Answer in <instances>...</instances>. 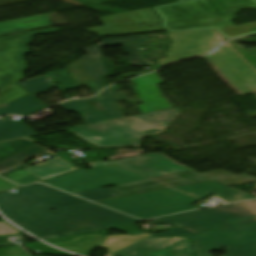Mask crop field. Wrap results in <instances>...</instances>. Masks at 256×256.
<instances>
[{
	"mask_svg": "<svg viewBox=\"0 0 256 256\" xmlns=\"http://www.w3.org/2000/svg\"><path fill=\"white\" fill-rule=\"evenodd\" d=\"M0 210L12 222L43 240L109 229L141 221L41 184L0 194Z\"/></svg>",
	"mask_w": 256,
	"mask_h": 256,
	"instance_id": "1",
	"label": "crop field"
},
{
	"mask_svg": "<svg viewBox=\"0 0 256 256\" xmlns=\"http://www.w3.org/2000/svg\"><path fill=\"white\" fill-rule=\"evenodd\" d=\"M177 229L155 234L192 239L196 256H211L212 248L227 247L226 256H256V201L198 210L153 220Z\"/></svg>",
	"mask_w": 256,
	"mask_h": 256,
	"instance_id": "2",
	"label": "crop field"
},
{
	"mask_svg": "<svg viewBox=\"0 0 256 256\" xmlns=\"http://www.w3.org/2000/svg\"><path fill=\"white\" fill-rule=\"evenodd\" d=\"M213 193L233 201L256 198L232 187L211 181L98 203L137 218H152L196 209L190 204Z\"/></svg>",
	"mask_w": 256,
	"mask_h": 256,
	"instance_id": "3",
	"label": "crop field"
},
{
	"mask_svg": "<svg viewBox=\"0 0 256 256\" xmlns=\"http://www.w3.org/2000/svg\"><path fill=\"white\" fill-rule=\"evenodd\" d=\"M180 113L179 109L155 111L70 130L99 147L140 145L144 137L163 132Z\"/></svg>",
	"mask_w": 256,
	"mask_h": 256,
	"instance_id": "4",
	"label": "crop field"
},
{
	"mask_svg": "<svg viewBox=\"0 0 256 256\" xmlns=\"http://www.w3.org/2000/svg\"><path fill=\"white\" fill-rule=\"evenodd\" d=\"M142 179L148 178L111 166L90 171L82 168L43 183L75 193Z\"/></svg>",
	"mask_w": 256,
	"mask_h": 256,
	"instance_id": "5",
	"label": "crop field"
},
{
	"mask_svg": "<svg viewBox=\"0 0 256 256\" xmlns=\"http://www.w3.org/2000/svg\"><path fill=\"white\" fill-rule=\"evenodd\" d=\"M168 35L174 44L169 49V58L159 61L162 67L178 60L206 54L224 42L223 37L215 29L168 33ZM133 65L150 64L147 62Z\"/></svg>",
	"mask_w": 256,
	"mask_h": 256,
	"instance_id": "6",
	"label": "crop field"
},
{
	"mask_svg": "<svg viewBox=\"0 0 256 256\" xmlns=\"http://www.w3.org/2000/svg\"><path fill=\"white\" fill-rule=\"evenodd\" d=\"M207 57L242 94L256 91V70L228 42Z\"/></svg>",
	"mask_w": 256,
	"mask_h": 256,
	"instance_id": "7",
	"label": "crop field"
},
{
	"mask_svg": "<svg viewBox=\"0 0 256 256\" xmlns=\"http://www.w3.org/2000/svg\"><path fill=\"white\" fill-rule=\"evenodd\" d=\"M146 41L147 39L145 36L102 39L103 45H92L81 50L89 54L81 58V61L86 69L87 75H93L97 92H99L102 88L101 82L99 81L100 78L109 73L101 46L122 44L124 54L129 56L130 63H138L145 61L142 59V54L137 46V43Z\"/></svg>",
	"mask_w": 256,
	"mask_h": 256,
	"instance_id": "8",
	"label": "crop field"
},
{
	"mask_svg": "<svg viewBox=\"0 0 256 256\" xmlns=\"http://www.w3.org/2000/svg\"><path fill=\"white\" fill-rule=\"evenodd\" d=\"M88 165L92 169L115 165L149 178L191 170L160 154H150L112 162H95Z\"/></svg>",
	"mask_w": 256,
	"mask_h": 256,
	"instance_id": "9",
	"label": "crop field"
},
{
	"mask_svg": "<svg viewBox=\"0 0 256 256\" xmlns=\"http://www.w3.org/2000/svg\"><path fill=\"white\" fill-rule=\"evenodd\" d=\"M190 240L186 237L149 236L116 254L120 256H190Z\"/></svg>",
	"mask_w": 256,
	"mask_h": 256,
	"instance_id": "10",
	"label": "crop field"
},
{
	"mask_svg": "<svg viewBox=\"0 0 256 256\" xmlns=\"http://www.w3.org/2000/svg\"><path fill=\"white\" fill-rule=\"evenodd\" d=\"M135 80L140 98L144 103V105L139 106L143 114L173 107L160 96L155 84L161 83V81L155 73L136 78Z\"/></svg>",
	"mask_w": 256,
	"mask_h": 256,
	"instance_id": "11",
	"label": "crop field"
},
{
	"mask_svg": "<svg viewBox=\"0 0 256 256\" xmlns=\"http://www.w3.org/2000/svg\"><path fill=\"white\" fill-rule=\"evenodd\" d=\"M121 90L120 87H113L102 93L97 99L103 106L105 111L86 114L87 123H95L123 117L121 112H116L115 109L121 108L117 102L126 101L127 103L142 102L140 98L129 99L125 94L120 95L116 91Z\"/></svg>",
	"mask_w": 256,
	"mask_h": 256,
	"instance_id": "12",
	"label": "crop field"
},
{
	"mask_svg": "<svg viewBox=\"0 0 256 256\" xmlns=\"http://www.w3.org/2000/svg\"><path fill=\"white\" fill-rule=\"evenodd\" d=\"M74 169L77 168L58 156L54 159L47 160L41 164L34 165L25 170L33 173L42 180H45L72 171Z\"/></svg>",
	"mask_w": 256,
	"mask_h": 256,
	"instance_id": "13",
	"label": "crop field"
},
{
	"mask_svg": "<svg viewBox=\"0 0 256 256\" xmlns=\"http://www.w3.org/2000/svg\"><path fill=\"white\" fill-rule=\"evenodd\" d=\"M49 14L0 23V35L49 26Z\"/></svg>",
	"mask_w": 256,
	"mask_h": 256,
	"instance_id": "14",
	"label": "crop field"
},
{
	"mask_svg": "<svg viewBox=\"0 0 256 256\" xmlns=\"http://www.w3.org/2000/svg\"><path fill=\"white\" fill-rule=\"evenodd\" d=\"M44 108L46 106L29 94L8 104L1 105L0 116L5 114L28 115Z\"/></svg>",
	"mask_w": 256,
	"mask_h": 256,
	"instance_id": "15",
	"label": "crop field"
},
{
	"mask_svg": "<svg viewBox=\"0 0 256 256\" xmlns=\"http://www.w3.org/2000/svg\"><path fill=\"white\" fill-rule=\"evenodd\" d=\"M105 237L102 235H80L73 240L54 242L53 244L86 256L88 252L100 245Z\"/></svg>",
	"mask_w": 256,
	"mask_h": 256,
	"instance_id": "16",
	"label": "crop field"
},
{
	"mask_svg": "<svg viewBox=\"0 0 256 256\" xmlns=\"http://www.w3.org/2000/svg\"><path fill=\"white\" fill-rule=\"evenodd\" d=\"M42 153L47 154L52 158L57 156L56 154L48 151V149L34 144L5 160L3 159L4 161L0 162V172L6 171L19 164H22Z\"/></svg>",
	"mask_w": 256,
	"mask_h": 256,
	"instance_id": "17",
	"label": "crop field"
},
{
	"mask_svg": "<svg viewBox=\"0 0 256 256\" xmlns=\"http://www.w3.org/2000/svg\"><path fill=\"white\" fill-rule=\"evenodd\" d=\"M0 120V142L34 135L21 121H12V117Z\"/></svg>",
	"mask_w": 256,
	"mask_h": 256,
	"instance_id": "18",
	"label": "crop field"
},
{
	"mask_svg": "<svg viewBox=\"0 0 256 256\" xmlns=\"http://www.w3.org/2000/svg\"><path fill=\"white\" fill-rule=\"evenodd\" d=\"M147 236H149V234H144L136 237L110 236V237H107L99 247L107 249L109 253L112 254Z\"/></svg>",
	"mask_w": 256,
	"mask_h": 256,
	"instance_id": "19",
	"label": "crop field"
},
{
	"mask_svg": "<svg viewBox=\"0 0 256 256\" xmlns=\"http://www.w3.org/2000/svg\"><path fill=\"white\" fill-rule=\"evenodd\" d=\"M49 77L44 76L42 78H36L33 80H28L20 84L24 89L30 92L32 95H39L54 86L48 83Z\"/></svg>",
	"mask_w": 256,
	"mask_h": 256,
	"instance_id": "20",
	"label": "crop field"
},
{
	"mask_svg": "<svg viewBox=\"0 0 256 256\" xmlns=\"http://www.w3.org/2000/svg\"><path fill=\"white\" fill-rule=\"evenodd\" d=\"M75 194L80 197L87 198L93 202L120 196L113 188H104V189L75 193Z\"/></svg>",
	"mask_w": 256,
	"mask_h": 256,
	"instance_id": "21",
	"label": "crop field"
},
{
	"mask_svg": "<svg viewBox=\"0 0 256 256\" xmlns=\"http://www.w3.org/2000/svg\"><path fill=\"white\" fill-rule=\"evenodd\" d=\"M33 143L27 139H19L7 143L0 144V157L3 158L29 144Z\"/></svg>",
	"mask_w": 256,
	"mask_h": 256,
	"instance_id": "22",
	"label": "crop field"
},
{
	"mask_svg": "<svg viewBox=\"0 0 256 256\" xmlns=\"http://www.w3.org/2000/svg\"><path fill=\"white\" fill-rule=\"evenodd\" d=\"M95 101L94 99H87V100H77V101H70L63 105H61L63 108L66 109V111L69 112H78L80 114L85 112L94 111L92 108H90L86 103Z\"/></svg>",
	"mask_w": 256,
	"mask_h": 256,
	"instance_id": "23",
	"label": "crop field"
},
{
	"mask_svg": "<svg viewBox=\"0 0 256 256\" xmlns=\"http://www.w3.org/2000/svg\"><path fill=\"white\" fill-rule=\"evenodd\" d=\"M33 249L35 251H38L39 254H43V255H56V256H73V255H69V254H66L60 250H57V249H53L47 245H43V244H40V243H31L30 244Z\"/></svg>",
	"mask_w": 256,
	"mask_h": 256,
	"instance_id": "24",
	"label": "crop field"
},
{
	"mask_svg": "<svg viewBox=\"0 0 256 256\" xmlns=\"http://www.w3.org/2000/svg\"><path fill=\"white\" fill-rule=\"evenodd\" d=\"M111 228L132 236L144 233L135 223L115 226Z\"/></svg>",
	"mask_w": 256,
	"mask_h": 256,
	"instance_id": "25",
	"label": "crop field"
},
{
	"mask_svg": "<svg viewBox=\"0 0 256 256\" xmlns=\"http://www.w3.org/2000/svg\"><path fill=\"white\" fill-rule=\"evenodd\" d=\"M6 255H26V252H24L17 246L0 248V256Z\"/></svg>",
	"mask_w": 256,
	"mask_h": 256,
	"instance_id": "26",
	"label": "crop field"
},
{
	"mask_svg": "<svg viewBox=\"0 0 256 256\" xmlns=\"http://www.w3.org/2000/svg\"><path fill=\"white\" fill-rule=\"evenodd\" d=\"M22 233L13 227L9 226L5 222H0V235L18 234Z\"/></svg>",
	"mask_w": 256,
	"mask_h": 256,
	"instance_id": "27",
	"label": "crop field"
},
{
	"mask_svg": "<svg viewBox=\"0 0 256 256\" xmlns=\"http://www.w3.org/2000/svg\"><path fill=\"white\" fill-rule=\"evenodd\" d=\"M17 187H19V186L0 178V191L1 190H11V189H15Z\"/></svg>",
	"mask_w": 256,
	"mask_h": 256,
	"instance_id": "28",
	"label": "crop field"
},
{
	"mask_svg": "<svg viewBox=\"0 0 256 256\" xmlns=\"http://www.w3.org/2000/svg\"><path fill=\"white\" fill-rule=\"evenodd\" d=\"M28 174H30V173H28L25 170H21V171H18L16 173H13V174H10L8 176H5V177L10 179V180H12V181H15V180L20 179V178H22V177H24V176H26Z\"/></svg>",
	"mask_w": 256,
	"mask_h": 256,
	"instance_id": "29",
	"label": "crop field"
},
{
	"mask_svg": "<svg viewBox=\"0 0 256 256\" xmlns=\"http://www.w3.org/2000/svg\"><path fill=\"white\" fill-rule=\"evenodd\" d=\"M37 180H40V179L31 174V175H29L25 178H22L20 180L15 181V182H17L21 185H24V184H27V183H30V182H33V181H37Z\"/></svg>",
	"mask_w": 256,
	"mask_h": 256,
	"instance_id": "30",
	"label": "crop field"
},
{
	"mask_svg": "<svg viewBox=\"0 0 256 256\" xmlns=\"http://www.w3.org/2000/svg\"><path fill=\"white\" fill-rule=\"evenodd\" d=\"M28 166H30V165L24 164V165H22V166H20V167H17V168H15V169L9 170V171H7V172H5V173H3V174H0V175L5 176V175H8V174H10V173L16 172V171H18V170L24 169V168H26V167H28Z\"/></svg>",
	"mask_w": 256,
	"mask_h": 256,
	"instance_id": "31",
	"label": "crop field"
},
{
	"mask_svg": "<svg viewBox=\"0 0 256 256\" xmlns=\"http://www.w3.org/2000/svg\"><path fill=\"white\" fill-rule=\"evenodd\" d=\"M78 236V235H77ZM76 236H71V237H65V238H60V239H54V240H47V242H54V241H66L74 238Z\"/></svg>",
	"mask_w": 256,
	"mask_h": 256,
	"instance_id": "32",
	"label": "crop field"
},
{
	"mask_svg": "<svg viewBox=\"0 0 256 256\" xmlns=\"http://www.w3.org/2000/svg\"><path fill=\"white\" fill-rule=\"evenodd\" d=\"M105 1L107 2V1H110V0H105Z\"/></svg>",
	"mask_w": 256,
	"mask_h": 256,
	"instance_id": "33",
	"label": "crop field"
}]
</instances>
